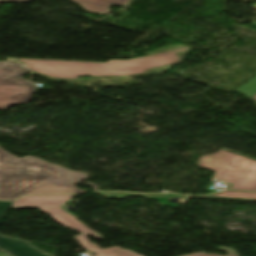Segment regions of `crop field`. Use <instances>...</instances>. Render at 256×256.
<instances>
[{"label": "crop field", "instance_id": "obj_1", "mask_svg": "<svg viewBox=\"0 0 256 256\" xmlns=\"http://www.w3.org/2000/svg\"><path fill=\"white\" fill-rule=\"evenodd\" d=\"M10 157L16 161L9 162ZM26 161L41 168L39 172H28ZM87 177L34 157L20 159L0 148V199H15L23 194L82 192L68 184Z\"/></svg>", "mask_w": 256, "mask_h": 256}, {"label": "crop field", "instance_id": "obj_2", "mask_svg": "<svg viewBox=\"0 0 256 256\" xmlns=\"http://www.w3.org/2000/svg\"><path fill=\"white\" fill-rule=\"evenodd\" d=\"M187 47L167 53L140 57L132 60H110L107 63L19 59L33 71L50 77L76 79L78 76H120L144 73L147 69L175 63L179 60L176 53Z\"/></svg>", "mask_w": 256, "mask_h": 256}, {"label": "crop field", "instance_id": "obj_3", "mask_svg": "<svg viewBox=\"0 0 256 256\" xmlns=\"http://www.w3.org/2000/svg\"><path fill=\"white\" fill-rule=\"evenodd\" d=\"M75 195H62V196H39V197H24L15 202L13 207H38L43 212L51 215L55 220L61 223L63 226L74 228L75 230L82 232L83 234L76 237L84 248L89 251L95 252L98 256H141L135 252L122 250L119 247H113L109 249L100 250L95 244H92L87 239V235H93L97 239H103V237L97 235L92 230L87 228L81 222L77 221L70 214L64 211L60 205L72 198ZM220 250L227 251L230 256H239L235 250L222 247ZM186 256H218V255H205L202 253H195Z\"/></svg>", "mask_w": 256, "mask_h": 256}, {"label": "crop field", "instance_id": "obj_4", "mask_svg": "<svg viewBox=\"0 0 256 256\" xmlns=\"http://www.w3.org/2000/svg\"><path fill=\"white\" fill-rule=\"evenodd\" d=\"M198 161L216 172L214 178L229 183L227 189L256 191V161L223 150Z\"/></svg>", "mask_w": 256, "mask_h": 256}, {"label": "crop field", "instance_id": "obj_5", "mask_svg": "<svg viewBox=\"0 0 256 256\" xmlns=\"http://www.w3.org/2000/svg\"><path fill=\"white\" fill-rule=\"evenodd\" d=\"M26 72L17 62H0V109L30 100L35 88L20 77Z\"/></svg>", "mask_w": 256, "mask_h": 256}, {"label": "crop field", "instance_id": "obj_6", "mask_svg": "<svg viewBox=\"0 0 256 256\" xmlns=\"http://www.w3.org/2000/svg\"><path fill=\"white\" fill-rule=\"evenodd\" d=\"M14 202L0 201V225L9 212ZM0 249L14 256H48L32 247L24 240L0 235Z\"/></svg>", "mask_w": 256, "mask_h": 256}, {"label": "crop field", "instance_id": "obj_7", "mask_svg": "<svg viewBox=\"0 0 256 256\" xmlns=\"http://www.w3.org/2000/svg\"><path fill=\"white\" fill-rule=\"evenodd\" d=\"M3 2H27L29 0H2ZM81 4L86 11L108 15L113 10L109 6L116 4L126 6L130 0H72Z\"/></svg>", "mask_w": 256, "mask_h": 256}, {"label": "crop field", "instance_id": "obj_8", "mask_svg": "<svg viewBox=\"0 0 256 256\" xmlns=\"http://www.w3.org/2000/svg\"><path fill=\"white\" fill-rule=\"evenodd\" d=\"M214 198H228V199H242V200H256V193L252 192H236L226 191L214 196H207Z\"/></svg>", "mask_w": 256, "mask_h": 256}, {"label": "crop field", "instance_id": "obj_9", "mask_svg": "<svg viewBox=\"0 0 256 256\" xmlns=\"http://www.w3.org/2000/svg\"><path fill=\"white\" fill-rule=\"evenodd\" d=\"M235 92L251 98L256 94V75L239 87Z\"/></svg>", "mask_w": 256, "mask_h": 256}, {"label": "crop field", "instance_id": "obj_10", "mask_svg": "<svg viewBox=\"0 0 256 256\" xmlns=\"http://www.w3.org/2000/svg\"><path fill=\"white\" fill-rule=\"evenodd\" d=\"M101 196L125 197L127 195H141L146 197H165V195H142L133 193H117V192H95Z\"/></svg>", "mask_w": 256, "mask_h": 256}, {"label": "crop field", "instance_id": "obj_11", "mask_svg": "<svg viewBox=\"0 0 256 256\" xmlns=\"http://www.w3.org/2000/svg\"><path fill=\"white\" fill-rule=\"evenodd\" d=\"M27 167L29 168V171H35V170H33V167H35V166L27 163ZM35 172H38V171H35Z\"/></svg>", "mask_w": 256, "mask_h": 256}, {"label": "crop field", "instance_id": "obj_12", "mask_svg": "<svg viewBox=\"0 0 256 256\" xmlns=\"http://www.w3.org/2000/svg\"><path fill=\"white\" fill-rule=\"evenodd\" d=\"M0 256H11V255L6 253V252H4V251H2V252H0Z\"/></svg>", "mask_w": 256, "mask_h": 256}, {"label": "crop field", "instance_id": "obj_13", "mask_svg": "<svg viewBox=\"0 0 256 256\" xmlns=\"http://www.w3.org/2000/svg\"><path fill=\"white\" fill-rule=\"evenodd\" d=\"M167 197H186V196H180V195H170V194H167Z\"/></svg>", "mask_w": 256, "mask_h": 256}, {"label": "crop field", "instance_id": "obj_14", "mask_svg": "<svg viewBox=\"0 0 256 256\" xmlns=\"http://www.w3.org/2000/svg\"><path fill=\"white\" fill-rule=\"evenodd\" d=\"M251 99L255 100L256 101V95L254 97H252Z\"/></svg>", "mask_w": 256, "mask_h": 256}, {"label": "crop field", "instance_id": "obj_15", "mask_svg": "<svg viewBox=\"0 0 256 256\" xmlns=\"http://www.w3.org/2000/svg\"><path fill=\"white\" fill-rule=\"evenodd\" d=\"M9 161H15L14 159L10 158Z\"/></svg>", "mask_w": 256, "mask_h": 256}, {"label": "crop field", "instance_id": "obj_16", "mask_svg": "<svg viewBox=\"0 0 256 256\" xmlns=\"http://www.w3.org/2000/svg\"><path fill=\"white\" fill-rule=\"evenodd\" d=\"M1 1V0H0Z\"/></svg>", "mask_w": 256, "mask_h": 256}]
</instances>
